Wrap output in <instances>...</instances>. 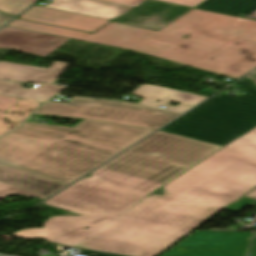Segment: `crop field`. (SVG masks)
<instances>
[{"label": "crop field", "mask_w": 256, "mask_h": 256, "mask_svg": "<svg viewBox=\"0 0 256 256\" xmlns=\"http://www.w3.org/2000/svg\"><path fill=\"white\" fill-rule=\"evenodd\" d=\"M131 50L237 79L256 68V21L193 9Z\"/></svg>", "instance_id": "34b2d1b8"}, {"label": "crop field", "mask_w": 256, "mask_h": 256, "mask_svg": "<svg viewBox=\"0 0 256 256\" xmlns=\"http://www.w3.org/2000/svg\"><path fill=\"white\" fill-rule=\"evenodd\" d=\"M133 95L144 98L140 103L159 107L160 105L177 112H184L204 101L206 97L164 88L155 85L144 84L135 89ZM156 100H161L159 103ZM170 101L181 103L177 107L168 105Z\"/></svg>", "instance_id": "28ad6ade"}, {"label": "crop field", "mask_w": 256, "mask_h": 256, "mask_svg": "<svg viewBox=\"0 0 256 256\" xmlns=\"http://www.w3.org/2000/svg\"><path fill=\"white\" fill-rule=\"evenodd\" d=\"M256 125V105L213 96L162 130L225 145Z\"/></svg>", "instance_id": "dd49c442"}, {"label": "crop field", "mask_w": 256, "mask_h": 256, "mask_svg": "<svg viewBox=\"0 0 256 256\" xmlns=\"http://www.w3.org/2000/svg\"><path fill=\"white\" fill-rule=\"evenodd\" d=\"M251 235L195 231L161 256H246Z\"/></svg>", "instance_id": "e52e79f7"}, {"label": "crop field", "mask_w": 256, "mask_h": 256, "mask_svg": "<svg viewBox=\"0 0 256 256\" xmlns=\"http://www.w3.org/2000/svg\"><path fill=\"white\" fill-rule=\"evenodd\" d=\"M0 180L47 196L66 186L3 164H0Z\"/></svg>", "instance_id": "5142ce71"}, {"label": "crop field", "mask_w": 256, "mask_h": 256, "mask_svg": "<svg viewBox=\"0 0 256 256\" xmlns=\"http://www.w3.org/2000/svg\"><path fill=\"white\" fill-rule=\"evenodd\" d=\"M36 0H0V11L16 16Z\"/></svg>", "instance_id": "214f88e0"}, {"label": "crop field", "mask_w": 256, "mask_h": 256, "mask_svg": "<svg viewBox=\"0 0 256 256\" xmlns=\"http://www.w3.org/2000/svg\"><path fill=\"white\" fill-rule=\"evenodd\" d=\"M102 1L136 7L139 4H141L144 0H102ZM161 1L195 7L200 3L204 2L205 0H161Z\"/></svg>", "instance_id": "dafd665d"}, {"label": "crop field", "mask_w": 256, "mask_h": 256, "mask_svg": "<svg viewBox=\"0 0 256 256\" xmlns=\"http://www.w3.org/2000/svg\"><path fill=\"white\" fill-rule=\"evenodd\" d=\"M63 89L60 86L41 84L36 89L30 87L29 89H22L20 83L0 80V94L36 99L40 104L56 95L58 91Z\"/></svg>", "instance_id": "d9b57169"}, {"label": "crop field", "mask_w": 256, "mask_h": 256, "mask_svg": "<svg viewBox=\"0 0 256 256\" xmlns=\"http://www.w3.org/2000/svg\"><path fill=\"white\" fill-rule=\"evenodd\" d=\"M69 64L55 61L49 69L0 61V78L20 82L54 83Z\"/></svg>", "instance_id": "22f410ed"}, {"label": "crop field", "mask_w": 256, "mask_h": 256, "mask_svg": "<svg viewBox=\"0 0 256 256\" xmlns=\"http://www.w3.org/2000/svg\"><path fill=\"white\" fill-rule=\"evenodd\" d=\"M3 114V112H0V115H2Z\"/></svg>", "instance_id": "d3111659"}, {"label": "crop field", "mask_w": 256, "mask_h": 256, "mask_svg": "<svg viewBox=\"0 0 256 256\" xmlns=\"http://www.w3.org/2000/svg\"><path fill=\"white\" fill-rule=\"evenodd\" d=\"M247 18H253L256 19V11L253 12L252 14H250L249 16H247Z\"/></svg>", "instance_id": "ae1a2a85"}, {"label": "crop field", "mask_w": 256, "mask_h": 256, "mask_svg": "<svg viewBox=\"0 0 256 256\" xmlns=\"http://www.w3.org/2000/svg\"><path fill=\"white\" fill-rule=\"evenodd\" d=\"M12 194H17V195H24V196H31V197H38V198H47L20 188H17L15 186L0 182V199L4 197H8Z\"/></svg>", "instance_id": "00972430"}, {"label": "crop field", "mask_w": 256, "mask_h": 256, "mask_svg": "<svg viewBox=\"0 0 256 256\" xmlns=\"http://www.w3.org/2000/svg\"><path fill=\"white\" fill-rule=\"evenodd\" d=\"M68 40L7 26L0 30V49L12 48L43 58Z\"/></svg>", "instance_id": "d8731c3e"}, {"label": "crop field", "mask_w": 256, "mask_h": 256, "mask_svg": "<svg viewBox=\"0 0 256 256\" xmlns=\"http://www.w3.org/2000/svg\"><path fill=\"white\" fill-rule=\"evenodd\" d=\"M20 19L65 27L92 33L109 22V20L74 14L70 12L33 6Z\"/></svg>", "instance_id": "3316defc"}, {"label": "crop field", "mask_w": 256, "mask_h": 256, "mask_svg": "<svg viewBox=\"0 0 256 256\" xmlns=\"http://www.w3.org/2000/svg\"><path fill=\"white\" fill-rule=\"evenodd\" d=\"M256 186V128L119 214L56 216L12 236L129 255L155 256ZM88 226L87 229H83Z\"/></svg>", "instance_id": "8a807250"}, {"label": "crop field", "mask_w": 256, "mask_h": 256, "mask_svg": "<svg viewBox=\"0 0 256 256\" xmlns=\"http://www.w3.org/2000/svg\"><path fill=\"white\" fill-rule=\"evenodd\" d=\"M219 148L221 147L158 131L102 168L165 184Z\"/></svg>", "instance_id": "412701ff"}, {"label": "crop field", "mask_w": 256, "mask_h": 256, "mask_svg": "<svg viewBox=\"0 0 256 256\" xmlns=\"http://www.w3.org/2000/svg\"><path fill=\"white\" fill-rule=\"evenodd\" d=\"M40 104L36 100L21 99L0 117V135L19 126Z\"/></svg>", "instance_id": "733c2abd"}, {"label": "crop field", "mask_w": 256, "mask_h": 256, "mask_svg": "<svg viewBox=\"0 0 256 256\" xmlns=\"http://www.w3.org/2000/svg\"><path fill=\"white\" fill-rule=\"evenodd\" d=\"M247 76L256 84V71L252 72Z\"/></svg>", "instance_id": "eef30255"}, {"label": "crop field", "mask_w": 256, "mask_h": 256, "mask_svg": "<svg viewBox=\"0 0 256 256\" xmlns=\"http://www.w3.org/2000/svg\"><path fill=\"white\" fill-rule=\"evenodd\" d=\"M79 253L87 256H94L92 254H95V256H123V255H117V254H111V253H105V252H99V251H93V250H87V249H84Z\"/></svg>", "instance_id": "4177f3b9"}, {"label": "crop field", "mask_w": 256, "mask_h": 256, "mask_svg": "<svg viewBox=\"0 0 256 256\" xmlns=\"http://www.w3.org/2000/svg\"><path fill=\"white\" fill-rule=\"evenodd\" d=\"M42 203L82 215L125 210L163 184L99 168Z\"/></svg>", "instance_id": "f4fd0767"}, {"label": "crop field", "mask_w": 256, "mask_h": 256, "mask_svg": "<svg viewBox=\"0 0 256 256\" xmlns=\"http://www.w3.org/2000/svg\"><path fill=\"white\" fill-rule=\"evenodd\" d=\"M197 8L245 17L256 10V0H207Z\"/></svg>", "instance_id": "4a817a6b"}, {"label": "crop field", "mask_w": 256, "mask_h": 256, "mask_svg": "<svg viewBox=\"0 0 256 256\" xmlns=\"http://www.w3.org/2000/svg\"><path fill=\"white\" fill-rule=\"evenodd\" d=\"M153 32L154 30L112 22L83 41L129 49Z\"/></svg>", "instance_id": "d1516ede"}, {"label": "crop field", "mask_w": 256, "mask_h": 256, "mask_svg": "<svg viewBox=\"0 0 256 256\" xmlns=\"http://www.w3.org/2000/svg\"><path fill=\"white\" fill-rule=\"evenodd\" d=\"M240 86L238 88L243 89L244 91H246L248 94L240 96L238 98L235 97H231L225 94H217L220 96H226V97H230V98H234L237 100H241V101H245V102H249V103H253L256 104V87L246 78L238 81Z\"/></svg>", "instance_id": "92a150f3"}, {"label": "crop field", "mask_w": 256, "mask_h": 256, "mask_svg": "<svg viewBox=\"0 0 256 256\" xmlns=\"http://www.w3.org/2000/svg\"><path fill=\"white\" fill-rule=\"evenodd\" d=\"M13 17L0 13V27L10 21Z\"/></svg>", "instance_id": "730fd06b"}, {"label": "crop field", "mask_w": 256, "mask_h": 256, "mask_svg": "<svg viewBox=\"0 0 256 256\" xmlns=\"http://www.w3.org/2000/svg\"><path fill=\"white\" fill-rule=\"evenodd\" d=\"M35 114L85 120L74 128L25 123L0 138V163L66 185L181 115L83 98L48 101Z\"/></svg>", "instance_id": "ac0d7876"}, {"label": "crop field", "mask_w": 256, "mask_h": 256, "mask_svg": "<svg viewBox=\"0 0 256 256\" xmlns=\"http://www.w3.org/2000/svg\"><path fill=\"white\" fill-rule=\"evenodd\" d=\"M189 10L191 8L148 0L132 12L114 21L159 30Z\"/></svg>", "instance_id": "5a996713"}, {"label": "crop field", "mask_w": 256, "mask_h": 256, "mask_svg": "<svg viewBox=\"0 0 256 256\" xmlns=\"http://www.w3.org/2000/svg\"><path fill=\"white\" fill-rule=\"evenodd\" d=\"M41 6L109 20L122 16L133 9V7L115 5L97 0H53V3Z\"/></svg>", "instance_id": "cbeb9de0"}, {"label": "crop field", "mask_w": 256, "mask_h": 256, "mask_svg": "<svg viewBox=\"0 0 256 256\" xmlns=\"http://www.w3.org/2000/svg\"><path fill=\"white\" fill-rule=\"evenodd\" d=\"M7 26L40 32V33L54 35V36H59V37H64V38H69V39H74V40H79V41H82L85 37L89 35V33H84V32L34 23V22L23 21L18 18L13 20Z\"/></svg>", "instance_id": "bc2a9ffb"}, {"label": "crop field", "mask_w": 256, "mask_h": 256, "mask_svg": "<svg viewBox=\"0 0 256 256\" xmlns=\"http://www.w3.org/2000/svg\"><path fill=\"white\" fill-rule=\"evenodd\" d=\"M20 99L0 95V110L3 112L11 108Z\"/></svg>", "instance_id": "a9b5d70f"}]
</instances>
